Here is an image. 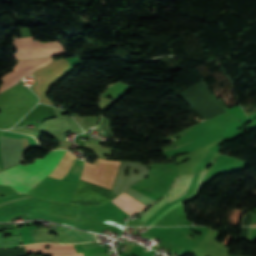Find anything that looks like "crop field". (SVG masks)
I'll return each instance as SVG.
<instances>
[{"mask_svg": "<svg viewBox=\"0 0 256 256\" xmlns=\"http://www.w3.org/2000/svg\"><path fill=\"white\" fill-rule=\"evenodd\" d=\"M53 151L66 152L67 150ZM63 155L62 152H49L43 159H35L27 166L20 164L2 171L0 172V185H10L20 194H26L54 170Z\"/></svg>", "mask_w": 256, "mask_h": 256, "instance_id": "obj_1", "label": "crop field"}, {"mask_svg": "<svg viewBox=\"0 0 256 256\" xmlns=\"http://www.w3.org/2000/svg\"><path fill=\"white\" fill-rule=\"evenodd\" d=\"M117 161H103L98 158L95 165L85 163L82 180L99 184L111 190L119 165Z\"/></svg>", "mask_w": 256, "mask_h": 256, "instance_id": "obj_2", "label": "crop field"}, {"mask_svg": "<svg viewBox=\"0 0 256 256\" xmlns=\"http://www.w3.org/2000/svg\"><path fill=\"white\" fill-rule=\"evenodd\" d=\"M193 176L194 175H187L181 178H177V180L175 181L174 185L171 188L170 195L160 200L158 203H156L154 206L148 209L145 213H143L140 216L141 217L140 220L145 221L151 214H153L157 209H159L164 203L184 193V191L188 189Z\"/></svg>", "mask_w": 256, "mask_h": 256, "instance_id": "obj_3", "label": "crop field"}, {"mask_svg": "<svg viewBox=\"0 0 256 256\" xmlns=\"http://www.w3.org/2000/svg\"><path fill=\"white\" fill-rule=\"evenodd\" d=\"M47 245H50V250L44 249V247ZM59 246L60 245L51 244V243L26 245L29 254L34 253V252L45 253V254H64V245H61V248H59ZM26 253H27V251H26ZM73 253H76L74 250V246L73 245H65V254H73ZM27 255H28V253H27ZM51 256H83V254L80 253V254H74V255H51Z\"/></svg>", "mask_w": 256, "mask_h": 256, "instance_id": "obj_4", "label": "crop field"}, {"mask_svg": "<svg viewBox=\"0 0 256 256\" xmlns=\"http://www.w3.org/2000/svg\"><path fill=\"white\" fill-rule=\"evenodd\" d=\"M76 159L77 158L74 155H72L70 152L67 151L66 154L63 156V158L58 163L55 170L48 176L57 178L60 180H64L66 174L68 173V171L70 170V168L72 167V165L74 164Z\"/></svg>", "mask_w": 256, "mask_h": 256, "instance_id": "obj_5", "label": "crop field"}, {"mask_svg": "<svg viewBox=\"0 0 256 256\" xmlns=\"http://www.w3.org/2000/svg\"><path fill=\"white\" fill-rule=\"evenodd\" d=\"M63 233L71 236L72 238L76 239L79 242H89V241L98 240L95 234L83 232L80 230L68 229Z\"/></svg>", "mask_w": 256, "mask_h": 256, "instance_id": "obj_6", "label": "crop field"}, {"mask_svg": "<svg viewBox=\"0 0 256 256\" xmlns=\"http://www.w3.org/2000/svg\"><path fill=\"white\" fill-rule=\"evenodd\" d=\"M207 170L203 171L201 173L200 179L198 181L196 190L193 194H191L190 196H188L186 199L174 204L172 207H170L168 210L164 211L163 213H161L152 223H150L149 225H154L164 214H166L167 212H169L170 210H172L173 208L185 203L186 201H188L189 199L193 198L200 190V186H201V180L203 179V177L205 176ZM203 181V180H202Z\"/></svg>", "mask_w": 256, "mask_h": 256, "instance_id": "obj_7", "label": "crop field"}, {"mask_svg": "<svg viewBox=\"0 0 256 256\" xmlns=\"http://www.w3.org/2000/svg\"><path fill=\"white\" fill-rule=\"evenodd\" d=\"M2 232H4V231L0 232V248H13V247L20 246L21 235L3 238L4 234Z\"/></svg>", "mask_w": 256, "mask_h": 256, "instance_id": "obj_8", "label": "crop field"}, {"mask_svg": "<svg viewBox=\"0 0 256 256\" xmlns=\"http://www.w3.org/2000/svg\"><path fill=\"white\" fill-rule=\"evenodd\" d=\"M186 192H187V191H186ZM186 192H185V193H186ZM185 193H184V194H185ZM182 195H183V194H182ZM182 195H181V196H182ZM179 197H180V196H179ZM177 198H178V197H177ZM175 199H176V198H175ZM173 200H174V199H173ZM171 201H172V200H171ZM169 202H170V201H169ZM166 204H167V203H166Z\"/></svg>", "mask_w": 256, "mask_h": 256, "instance_id": "obj_9", "label": "crop field"}]
</instances>
